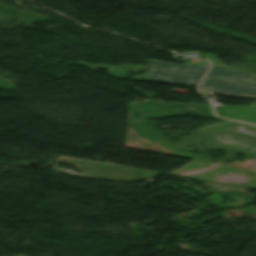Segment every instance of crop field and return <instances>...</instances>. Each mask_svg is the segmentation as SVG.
<instances>
[{
    "instance_id": "obj_1",
    "label": "crop field",
    "mask_w": 256,
    "mask_h": 256,
    "mask_svg": "<svg viewBox=\"0 0 256 256\" xmlns=\"http://www.w3.org/2000/svg\"><path fill=\"white\" fill-rule=\"evenodd\" d=\"M145 61L151 63L153 66L148 81L192 86H197L208 67L191 64L178 65L152 59H146Z\"/></svg>"
},
{
    "instance_id": "obj_2",
    "label": "crop field",
    "mask_w": 256,
    "mask_h": 256,
    "mask_svg": "<svg viewBox=\"0 0 256 256\" xmlns=\"http://www.w3.org/2000/svg\"><path fill=\"white\" fill-rule=\"evenodd\" d=\"M209 86H212V88H208ZM200 90L233 94L246 93L256 96V83L205 78L200 86Z\"/></svg>"
},
{
    "instance_id": "obj_3",
    "label": "crop field",
    "mask_w": 256,
    "mask_h": 256,
    "mask_svg": "<svg viewBox=\"0 0 256 256\" xmlns=\"http://www.w3.org/2000/svg\"><path fill=\"white\" fill-rule=\"evenodd\" d=\"M253 75L254 74L236 70H227L224 67L212 65L206 77L251 81Z\"/></svg>"
},
{
    "instance_id": "obj_4",
    "label": "crop field",
    "mask_w": 256,
    "mask_h": 256,
    "mask_svg": "<svg viewBox=\"0 0 256 256\" xmlns=\"http://www.w3.org/2000/svg\"><path fill=\"white\" fill-rule=\"evenodd\" d=\"M202 93H207V94H216V95H225V96H234V97H244V98H253L256 99V97L253 96H244V95H233V94H223V93H213V92H205L201 91Z\"/></svg>"
}]
</instances>
